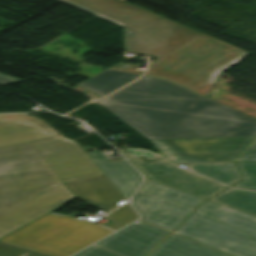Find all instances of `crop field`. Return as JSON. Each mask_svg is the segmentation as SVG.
Instances as JSON below:
<instances>
[{
    "instance_id": "crop-field-24",
    "label": "crop field",
    "mask_w": 256,
    "mask_h": 256,
    "mask_svg": "<svg viewBox=\"0 0 256 256\" xmlns=\"http://www.w3.org/2000/svg\"><path fill=\"white\" fill-rule=\"evenodd\" d=\"M17 80H19V79L0 74V85H5L8 83L17 81Z\"/></svg>"
},
{
    "instance_id": "crop-field-8",
    "label": "crop field",
    "mask_w": 256,
    "mask_h": 256,
    "mask_svg": "<svg viewBox=\"0 0 256 256\" xmlns=\"http://www.w3.org/2000/svg\"><path fill=\"white\" fill-rule=\"evenodd\" d=\"M255 137L152 141L172 163L237 159Z\"/></svg>"
},
{
    "instance_id": "crop-field-22",
    "label": "crop field",
    "mask_w": 256,
    "mask_h": 256,
    "mask_svg": "<svg viewBox=\"0 0 256 256\" xmlns=\"http://www.w3.org/2000/svg\"><path fill=\"white\" fill-rule=\"evenodd\" d=\"M256 160V140L245 151L242 157L238 161H255Z\"/></svg>"
},
{
    "instance_id": "crop-field-25",
    "label": "crop field",
    "mask_w": 256,
    "mask_h": 256,
    "mask_svg": "<svg viewBox=\"0 0 256 256\" xmlns=\"http://www.w3.org/2000/svg\"><path fill=\"white\" fill-rule=\"evenodd\" d=\"M90 158L94 161L95 164L98 162L97 159H94L91 156H90Z\"/></svg>"
},
{
    "instance_id": "crop-field-4",
    "label": "crop field",
    "mask_w": 256,
    "mask_h": 256,
    "mask_svg": "<svg viewBox=\"0 0 256 256\" xmlns=\"http://www.w3.org/2000/svg\"><path fill=\"white\" fill-rule=\"evenodd\" d=\"M248 54L202 34L150 64L145 75L169 79L209 97L218 75Z\"/></svg>"
},
{
    "instance_id": "crop-field-2",
    "label": "crop field",
    "mask_w": 256,
    "mask_h": 256,
    "mask_svg": "<svg viewBox=\"0 0 256 256\" xmlns=\"http://www.w3.org/2000/svg\"><path fill=\"white\" fill-rule=\"evenodd\" d=\"M97 103L149 140L256 136V120L165 79L144 76Z\"/></svg>"
},
{
    "instance_id": "crop-field-17",
    "label": "crop field",
    "mask_w": 256,
    "mask_h": 256,
    "mask_svg": "<svg viewBox=\"0 0 256 256\" xmlns=\"http://www.w3.org/2000/svg\"><path fill=\"white\" fill-rule=\"evenodd\" d=\"M104 218L114 221L113 223L105 226L112 230H117L126 224L134 221L138 218V214L133 210V208L127 203L114 212L108 214Z\"/></svg>"
},
{
    "instance_id": "crop-field-14",
    "label": "crop field",
    "mask_w": 256,
    "mask_h": 256,
    "mask_svg": "<svg viewBox=\"0 0 256 256\" xmlns=\"http://www.w3.org/2000/svg\"><path fill=\"white\" fill-rule=\"evenodd\" d=\"M140 76L141 75L138 74L107 69L87 79L78 86L90 90L102 97Z\"/></svg>"
},
{
    "instance_id": "crop-field-5",
    "label": "crop field",
    "mask_w": 256,
    "mask_h": 256,
    "mask_svg": "<svg viewBox=\"0 0 256 256\" xmlns=\"http://www.w3.org/2000/svg\"><path fill=\"white\" fill-rule=\"evenodd\" d=\"M173 233L234 256H256V216L209 201Z\"/></svg>"
},
{
    "instance_id": "crop-field-20",
    "label": "crop field",
    "mask_w": 256,
    "mask_h": 256,
    "mask_svg": "<svg viewBox=\"0 0 256 256\" xmlns=\"http://www.w3.org/2000/svg\"><path fill=\"white\" fill-rule=\"evenodd\" d=\"M0 256H49L0 242Z\"/></svg>"
},
{
    "instance_id": "crop-field-16",
    "label": "crop field",
    "mask_w": 256,
    "mask_h": 256,
    "mask_svg": "<svg viewBox=\"0 0 256 256\" xmlns=\"http://www.w3.org/2000/svg\"><path fill=\"white\" fill-rule=\"evenodd\" d=\"M188 169L228 185L241 179L234 163L189 165Z\"/></svg>"
},
{
    "instance_id": "crop-field-9",
    "label": "crop field",
    "mask_w": 256,
    "mask_h": 256,
    "mask_svg": "<svg viewBox=\"0 0 256 256\" xmlns=\"http://www.w3.org/2000/svg\"><path fill=\"white\" fill-rule=\"evenodd\" d=\"M122 153L149 180L200 196L202 198L207 199L227 188L198 175L176 168L161 157L147 164L141 158H134L127 151Z\"/></svg>"
},
{
    "instance_id": "crop-field-11",
    "label": "crop field",
    "mask_w": 256,
    "mask_h": 256,
    "mask_svg": "<svg viewBox=\"0 0 256 256\" xmlns=\"http://www.w3.org/2000/svg\"><path fill=\"white\" fill-rule=\"evenodd\" d=\"M74 195L88 204L106 211L125 200L105 175L65 183Z\"/></svg>"
},
{
    "instance_id": "crop-field-12",
    "label": "crop field",
    "mask_w": 256,
    "mask_h": 256,
    "mask_svg": "<svg viewBox=\"0 0 256 256\" xmlns=\"http://www.w3.org/2000/svg\"><path fill=\"white\" fill-rule=\"evenodd\" d=\"M88 155L99 160L96 165L128 201L140 185L142 177L125 160L112 162L99 151L89 152Z\"/></svg>"
},
{
    "instance_id": "crop-field-6",
    "label": "crop field",
    "mask_w": 256,
    "mask_h": 256,
    "mask_svg": "<svg viewBox=\"0 0 256 256\" xmlns=\"http://www.w3.org/2000/svg\"><path fill=\"white\" fill-rule=\"evenodd\" d=\"M110 233L92 222L51 213L0 241L52 256H70Z\"/></svg>"
},
{
    "instance_id": "crop-field-26",
    "label": "crop field",
    "mask_w": 256,
    "mask_h": 256,
    "mask_svg": "<svg viewBox=\"0 0 256 256\" xmlns=\"http://www.w3.org/2000/svg\"><path fill=\"white\" fill-rule=\"evenodd\" d=\"M126 1V0H125Z\"/></svg>"
},
{
    "instance_id": "crop-field-15",
    "label": "crop field",
    "mask_w": 256,
    "mask_h": 256,
    "mask_svg": "<svg viewBox=\"0 0 256 256\" xmlns=\"http://www.w3.org/2000/svg\"><path fill=\"white\" fill-rule=\"evenodd\" d=\"M209 201L256 215V192L229 188Z\"/></svg>"
},
{
    "instance_id": "crop-field-10",
    "label": "crop field",
    "mask_w": 256,
    "mask_h": 256,
    "mask_svg": "<svg viewBox=\"0 0 256 256\" xmlns=\"http://www.w3.org/2000/svg\"><path fill=\"white\" fill-rule=\"evenodd\" d=\"M168 234L148 224H132L96 245L122 256H147Z\"/></svg>"
},
{
    "instance_id": "crop-field-13",
    "label": "crop field",
    "mask_w": 256,
    "mask_h": 256,
    "mask_svg": "<svg viewBox=\"0 0 256 256\" xmlns=\"http://www.w3.org/2000/svg\"><path fill=\"white\" fill-rule=\"evenodd\" d=\"M149 256H231L171 233Z\"/></svg>"
},
{
    "instance_id": "crop-field-1",
    "label": "crop field",
    "mask_w": 256,
    "mask_h": 256,
    "mask_svg": "<svg viewBox=\"0 0 256 256\" xmlns=\"http://www.w3.org/2000/svg\"><path fill=\"white\" fill-rule=\"evenodd\" d=\"M102 174L79 145L0 122V238L75 198L63 182Z\"/></svg>"
},
{
    "instance_id": "crop-field-3",
    "label": "crop field",
    "mask_w": 256,
    "mask_h": 256,
    "mask_svg": "<svg viewBox=\"0 0 256 256\" xmlns=\"http://www.w3.org/2000/svg\"><path fill=\"white\" fill-rule=\"evenodd\" d=\"M123 27L124 50L162 57L201 33L123 0H58Z\"/></svg>"
},
{
    "instance_id": "crop-field-19",
    "label": "crop field",
    "mask_w": 256,
    "mask_h": 256,
    "mask_svg": "<svg viewBox=\"0 0 256 256\" xmlns=\"http://www.w3.org/2000/svg\"><path fill=\"white\" fill-rule=\"evenodd\" d=\"M245 179L234 185V187L256 190V161L238 162Z\"/></svg>"
},
{
    "instance_id": "crop-field-18",
    "label": "crop field",
    "mask_w": 256,
    "mask_h": 256,
    "mask_svg": "<svg viewBox=\"0 0 256 256\" xmlns=\"http://www.w3.org/2000/svg\"><path fill=\"white\" fill-rule=\"evenodd\" d=\"M13 120L21 124L30 126L40 131L57 135L61 137L57 132L53 131L45 122L42 120L24 115V114H12V115H0V121ZM63 138V137H61ZM65 139V138H63ZM67 140V139H66Z\"/></svg>"
},
{
    "instance_id": "crop-field-7",
    "label": "crop field",
    "mask_w": 256,
    "mask_h": 256,
    "mask_svg": "<svg viewBox=\"0 0 256 256\" xmlns=\"http://www.w3.org/2000/svg\"><path fill=\"white\" fill-rule=\"evenodd\" d=\"M204 200L146 180L132 203L143 216L141 220L173 231Z\"/></svg>"
},
{
    "instance_id": "crop-field-23",
    "label": "crop field",
    "mask_w": 256,
    "mask_h": 256,
    "mask_svg": "<svg viewBox=\"0 0 256 256\" xmlns=\"http://www.w3.org/2000/svg\"><path fill=\"white\" fill-rule=\"evenodd\" d=\"M121 65H130V64H123V63H119L109 69H113V70H119V71H126V72H131V73H138V74H143L142 71H138V67L137 65H130V67L128 69H121Z\"/></svg>"
},
{
    "instance_id": "crop-field-21",
    "label": "crop field",
    "mask_w": 256,
    "mask_h": 256,
    "mask_svg": "<svg viewBox=\"0 0 256 256\" xmlns=\"http://www.w3.org/2000/svg\"><path fill=\"white\" fill-rule=\"evenodd\" d=\"M75 256H120L96 245L82 251Z\"/></svg>"
}]
</instances>
